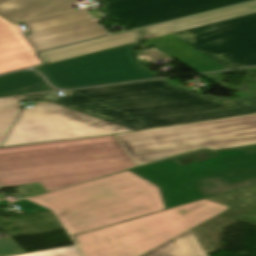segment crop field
I'll use <instances>...</instances> for the list:
<instances>
[{
	"label": "crop field",
	"mask_w": 256,
	"mask_h": 256,
	"mask_svg": "<svg viewBox=\"0 0 256 256\" xmlns=\"http://www.w3.org/2000/svg\"><path fill=\"white\" fill-rule=\"evenodd\" d=\"M16 26L0 16V74L41 64Z\"/></svg>",
	"instance_id": "crop-field-12"
},
{
	"label": "crop field",
	"mask_w": 256,
	"mask_h": 256,
	"mask_svg": "<svg viewBox=\"0 0 256 256\" xmlns=\"http://www.w3.org/2000/svg\"><path fill=\"white\" fill-rule=\"evenodd\" d=\"M18 256H81L74 245L49 250L31 252Z\"/></svg>",
	"instance_id": "crop-field-19"
},
{
	"label": "crop field",
	"mask_w": 256,
	"mask_h": 256,
	"mask_svg": "<svg viewBox=\"0 0 256 256\" xmlns=\"http://www.w3.org/2000/svg\"><path fill=\"white\" fill-rule=\"evenodd\" d=\"M134 166L112 135L0 149V187L39 182L47 191Z\"/></svg>",
	"instance_id": "crop-field-2"
},
{
	"label": "crop field",
	"mask_w": 256,
	"mask_h": 256,
	"mask_svg": "<svg viewBox=\"0 0 256 256\" xmlns=\"http://www.w3.org/2000/svg\"><path fill=\"white\" fill-rule=\"evenodd\" d=\"M243 1L247 0H120L106 4V10L137 28Z\"/></svg>",
	"instance_id": "crop-field-11"
},
{
	"label": "crop field",
	"mask_w": 256,
	"mask_h": 256,
	"mask_svg": "<svg viewBox=\"0 0 256 256\" xmlns=\"http://www.w3.org/2000/svg\"><path fill=\"white\" fill-rule=\"evenodd\" d=\"M254 12H256V1L141 29V31L150 34L170 28L189 29Z\"/></svg>",
	"instance_id": "crop-field-14"
},
{
	"label": "crop field",
	"mask_w": 256,
	"mask_h": 256,
	"mask_svg": "<svg viewBox=\"0 0 256 256\" xmlns=\"http://www.w3.org/2000/svg\"><path fill=\"white\" fill-rule=\"evenodd\" d=\"M102 1L108 3V2H112V1H116V0H102Z\"/></svg>",
	"instance_id": "crop-field-25"
},
{
	"label": "crop field",
	"mask_w": 256,
	"mask_h": 256,
	"mask_svg": "<svg viewBox=\"0 0 256 256\" xmlns=\"http://www.w3.org/2000/svg\"><path fill=\"white\" fill-rule=\"evenodd\" d=\"M15 204L22 210V212L25 215L28 214H33V213H38V212H43V211H48L47 209L40 207L36 204H33L27 200H22L19 202H15Z\"/></svg>",
	"instance_id": "crop-field-21"
},
{
	"label": "crop field",
	"mask_w": 256,
	"mask_h": 256,
	"mask_svg": "<svg viewBox=\"0 0 256 256\" xmlns=\"http://www.w3.org/2000/svg\"><path fill=\"white\" fill-rule=\"evenodd\" d=\"M35 104L21 109L1 147L131 131L53 103Z\"/></svg>",
	"instance_id": "crop-field-9"
},
{
	"label": "crop field",
	"mask_w": 256,
	"mask_h": 256,
	"mask_svg": "<svg viewBox=\"0 0 256 256\" xmlns=\"http://www.w3.org/2000/svg\"><path fill=\"white\" fill-rule=\"evenodd\" d=\"M25 253L11 238L0 239V256H11Z\"/></svg>",
	"instance_id": "crop-field-20"
},
{
	"label": "crop field",
	"mask_w": 256,
	"mask_h": 256,
	"mask_svg": "<svg viewBox=\"0 0 256 256\" xmlns=\"http://www.w3.org/2000/svg\"><path fill=\"white\" fill-rule=\"evenodd\" d=\"M33 71H21L0 76V98L26 93L54 91Z\"/></svg>",
	"instance_id": "crop-field-15"
},
{
	"label": "crop field",
	"mask_w": 256,
	"mask_h": 256,
	"mask_svg": "<svg viewBox=\"0 0 256 256\" xmlns=\"http://www.w3.org/2000/svg\"><path fill=\"white\" fill-rule=\"evenodd\" d=\"M20 101L19 96L0 99V145L20 111Z\"/></svg>",
	"instance_id": "crop-field-17"
},
{
	"label": "crop field",
	"mask_w": 256,
	"mask_h": 256,
	"mask_svg": "<svg viewBox=\"0 0 256 256\" xmlns=\"http://www.w3.org/2000/svg\"><path fill=\"white\" fill-rule=\"evenodd\" d=\"M25 197L33 196L41 193H45L46 191L40 186L39 183L28 184V185H20L18 186Z\"/></svg>",
	"instance_id": "crop-field-22"
},
{
	"label": "crop field",
	"mask_w": 256,
	"mask_h": 256,
	"mask_svg": "<svg viewBox=\"0 0 256 256\" xmlns=\"http://www.w3.org/2000/svg\"><path fill=\"white\" fill-rule=\"evenodd\" d=\"M178 31H183V30L170 29V30H166L163 32L147 35V37L152 38V37H156V36H160V35H164V34H168V33H173V32H178Z\"/></svg>",
	"instance_id": "crop-field-23"
},
{
	"label": "crop field",
	"mask_w": 256,
	"mask_h": 256,
	"mask_svg": "<svg viewBox=\"0 0 256 256\" xmlns=\"http://www.w3.org/2000/svg\"><path fill=\"white\" fill-rule=\"evenodd\" d=\"M218 153L182 168L169 158L131 171L161 189L167 209L256 184V145Z\"/></svg>",
	"instance_id": "crop-field-4"
},
{
	"label": "crop field",
	"mask_w": 256,
	"mask_h": 256,
	"mask_svg": "<svg viewBox=\"0 0 256 256\" xmlns=\"http://www.w3.org/2000/svg\"><path fill=\"white\" fill-rule=\"evenodd\" d=\"M22 96L47 100L138 131L256 113V98L224 100L173 87L163 80Z\"/></svg>",
	"instance_id": "crop-field-1"
},
{
	"label": "crop field",
	"mask_w": 256,
	"mask_h": 256,
	"mask_svg": "<svg viewBox=\"0 0 256 256\" xmlns=\"http://www.w3.org/2000/svg\"><path fill=\"white\" fill-rule=\"evenodd\" d=\"M138 43L34 69L41 71L50 84L59 88H78L157 77L137 64L133 50Z\"/></svg>",
	"instance_id": "crop-field-10"
},
{
	"label": "crop field",
	"mask_w": 256,
	"mask_h": 256,
	"mask_svg": "<svg viewBox=\"0 0 256 256\" xmlns=\"http://www.w3.org/2000/svg\"><path fill=\"white\" fill-rule=\"evenodd\" d=\"M92 16L94 17V19L101 18V16H100V14H99V13H97V14H93Z\"/></svg>",
	"instance_id": "crop-field-24"
},
{
	"label": "crop field",
	"mask_w": 256,
	"mask_h": 256,
	"mask_svg": "<svg viewBox=\"0 0 256 256\" xmlns=\"http://www.w3.org/2000/svg\"><path fill=\"white\" fill-rule=\"evenodd\" d=\"M226 209L201 200L72 238L84 256H140Z\"/></svg>",
	"instance_id": "crop-field-6"
},
{
	"label": "crop field",
	"mask_w": 256,
	"mask_h": 256,
	"mask_svg": "<svg viewBox=\"0 0 256 256\" xmlns=\"http://www.w3.org/2000/svg\"><path fill=\"white\" fill-rule=\"evenodd\" d=\"M142 256H207L192 230Z\"/></svg>",
	"instance_id": "crop-field-16"
},
{
	"label": "crop field",
	"mask_w": 256,
	"mask_h": 256,
	"mask_svg": "<svg viewBox=\"0 0 256 256\" xmlns=\"http://www.w3.org/2000/svg\"><path fill=\"white\" fill-rule=\"evenodd\" d=\"M218 156L219 155L217 152H209V151L201 150V151L173 157L172 159L180 167H182V166H186L189 164L204 161V160L211 159V158L218 157Z\"/></svg>",
	"instance_id": "crop-field-18"
},
{
	"label": "crop field",
	"mask_w": 256,
	"mask_h": 256,
	"mask_svg": "<svg viewBox=\"0 0 256 256\" xmlns=\"http://www.w3.org/2000/svg\"><path fill=\"white\" fill-rule=\"evenodd\" d=\"M250 69L256 71V68H250Z\"/></svg>",
	"instance_id": "crop-field-26"
},
{
	"label": "crop field",
	"mask_w": 256,
	"mask_h": 256,
	"mask_svg": "<svg viewBox=\"0 0 256 256\" xmlns=\"http://www.w3.org/2000/svg\"><path fill=\"white\" fill-rule=\"evenodd\" d=\"M76 0H0V15L23 22L32 35L25 38L36 51L106 34Z\"/></svg>",
	"instance_id": "crop-field-8"
},
{
	"label": "crop field",
	"mask_w": 256,
	"mask_h": 256,
	"mask_svg": "<svg viewBox=\"0 0 256 256\" xmlns=\"http://www.w3.org/2000/svg\"><path fill=\"white\" fill-rule=\"evenodd\" d=\"M142 41V35L136 31L114 34L78 44L41 52L45 62L52 63L96 51Z\"/></svg>",
	"instance_id": "crop-field-13"
},
{
	"label": "crop field",
	"mask_w": 256,
	"mask_h": 256,
	"mask_svg": "<svg viewBox=\"0 0 256 256\" xmlns=\"http://www.w3.org/2000/svg\"><path fill=\"white\" fill-rule=\"evenodd\" d=\"M156 47L198 71L256 65V13L145 40L139 49Z\"/></svg>",
	"instance_id": "crop-field-5"
},
{
	"label": "crop field",
	"mask_w": 256,
	"mask_h": 256,
	"mask_svg": "<svg viewBox=\"0 0 256 256\" xmlns=\"http://www.w3.org/2000/svg\"><path fill=\"white\" fill-rule=\"evenodd\" d=\"M135 166L199 148L256 143V114L113 135Z\"/></svg>",
	"instance_id": "crop-field-7"
},
{
	"label": "crop field",
	"mask_w": 256,
	"mask_h": 256,
	"mask_svg": "<svg viewBox=\"0 0 256 256\" xmlns=\"http://www.w3.org/2000/svg\"><path fill=\"white\" fill-rule=\"evenodd\" d=\"M29 199L52 209L71 235L165 209L158 188L128 171Z\"/></svg>",
	"instance_id": "crop-field-3"
}]
</instances>
